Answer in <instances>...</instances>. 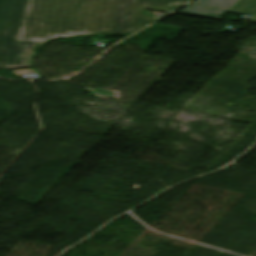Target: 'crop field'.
<instances>
[{
	"instance_id": "crop-field-1",
	"label": "crop field",
	"mask_w": 256,
	"mask_h": 256,
	"mask_svg": "<svg viewBox=\"0 0 256 256\" xmlns=\"http://www.w3.org/2000/svg\"><path fill=\"white\" fill-rule=\"evenodd\" d=\"M189 0H28L17 40L134 33L159 17L138 14L153 4L178 8Z\"/></svg>"
},
{
	"instance_id": "crop-field-2",
	"label": "crop field",
	"mask_w": 256,
	"mask_h": 256,
	"mask_svg": "<svg viewBox=\"0 0 256 256\" xmlns=\"http://www.w3.org/2000/svg\"><path fill=\"white\" fill-rule=\"evenodd\" d=\"M27 0H0V68L31 67L28 52L41 43L16 41Z\"/></svg>"
},
{
	"instance_id": "crop-field-3",
	"label": "crop field",
	"mask_w": 256,
	"mask_h": 256,
	"mask_svg": "<svg viewBox=\"0 0 256 256\" xmlns=\"http://www.w3.org/2000/svg\"><path fill=\"white\" fill-rule=\"evenodd\" d=\"M240 0H197L179 14L205 16L221 19L223 15L230 11ZM217 4V6H214Z\"/></svg>"
},
{
	"instance_id": "crop-field-4",
	"label": "crop field",
	"mask_w": 256,
	"mask_h": 256,
	"mask_svg": "<svg viewBox=\"0 0 256 256\" xmlns=\"http://www.w3.org/2000/svg\"><path fill=\"white\" fill-rule=\"evenodd\" d=\"M230 12L255 16L256 0H241Z\"/></svg>"
},
{
	"instance_id": "crop-field-5",
	"label": "crop field",
	"mask_w": 256,
	"mask_h": 256,
	"mask_svg": "<svg viewBox=\"0 0 256 256\" xmlns=\"http://www.w3.org/2000/svg\"><path fill=\"white\" fill-rule=\"evenodd\" d=\"M250 23H256V16L250 21Z\"/></svg>"
}]
</instances>
